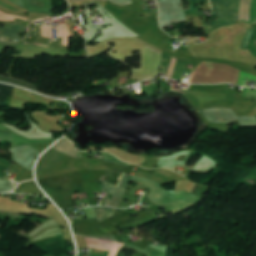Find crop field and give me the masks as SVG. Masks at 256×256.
I'll use <instances>...</instances> for the list:
<instances>
[{"label":"crop field","instance_id":"7","mask_svg":"<svg viewBox=\"0 0 256 256\" xmlns=\"http://www.w3.org/2000/svg\"><path fill=\"white\" fill-rule=\"evenodd\" d=\"M13 3L34 13H49L52 14V0H10ZM41 3V7H38Z\"/></svg>","mask_w":256,"mask_h":256},{"label":"crop field","instance_id":"3","mask_svg":"<svg viewBox=\"0 0 256 256\" xmlns=\"http://www.w3.org/2000/svg\"><path fill=\"white\" fill-rule=\"evenodd\" d=\"M203 115L209 122L234 123V120H238L240 127L256 126V117H236L232 109H204ZM222 119H227V121H222Z\"/></svg>","mask_w":256,"mask_h":256},{"label":"crop field","instance_id":"14","mask_svg":"<svg viewBox=\"0 0 256 256\" xmlns=\"http://www.w3.org/2000/svg\"><path fill=\"white\" fill-rule=\"evenodd\" d=\"M216 164L217 163H215L213 160L203 155L191 171L198 173H208L212 171Z\"/></svg>","mask_w":256,"mask_h":256},{"label":"crop field","instance_id":"10","mask_svg":"<svg viewBox=\"0 0 256 256\" xmlns=\"http://www.w3.org/2000/svg\"><path fill=\"white\" fill-rule=\"evenodd\" d=\"M88 247L97 248L101 250H111L109 256H116L118 250L124 246V243H117L116 241L100 240L96 238H85Z\"/></svg>","mask_w":256,"mask_h":256},{"label":"crop field","instance_id":"13","mask_svg":"<svg viewBox=\"0 0 256 256\" xmlns=\"http://www.w3.org/2000/svg\"><path fill=\"white\" fill-rule=\"evenodd\" d=\"M127 248L145 253L147 256H167L168 246H158V247H156V246L151 245L147 249L144 250L140 247L129 244L127 246Z\"/></svg>","mask_w":256,"mask_h":256},{"label":"crop field","instance_id":"21","mask_svg":"<svg viewBox=\"0 0 256 256\" xmlns=\"http://www.w3.org/2000/svg\"><path fill=\"white\" fill-rule=\"evenodd\" d=\"M103 155H104V159L105 161H109V162H113V163H118V164H122V165H126V166H129L131 164H127V163H124L120 160H118L117 158H115L114 156L108 154V153H105L103 152Z\"/></svg>","mask_w":256,"mask_h":256},{"label":"crop field","instance_id":"27","mask_svg":"<svg viewBox=\"0 0 256 256\" xmlns=\"http://www.w3.org/2000/svg\"><path fill=\"white\" fill-rule=\"evenodd\" d=\"M110 251H106L104 255L99 254V253H91L90 256H108Z\"/></svg>","mask_w":256,"mask_h":256},{"label":"crop field","instance_id":"20","mask_svg":"<svg viewBox=\"0 0 256 256\" xmlns=\"http://www.w3.org/2000/svg\"><path fill=\"white\" fill-rule=\"evenodd\" d=\"M190 3V9L184 10L186 14H194L197 13L199 9H194V3H199V7H201V2H207L208 0H188Z\"/></svg>","mask_w":256,"mask_h":256},{"label":"crop field","instance_id":"9","mask_svg":"<svg viewBox=\"0 0 256 256\" xmlns=\"http://www.w3.org/2000/svg\"><path fill=\"white\" fill-rule=\"evenodd\" d=\"M170 59H171V57L163 55V61H162L161 67L168 68ZM175 62H176V59L172 57L170 67H169V73L167 71L168 77H170V78H172V75H173ZM187 62L188 61H186V60L177 59L173 79H176V80L180 79Z\"/></svg>","mask_w":256,"mask_h":256},{"label":"crop field","instance_id":"17","mask_svg":"<svg viewBox=\"0 0 256 256\" xmlns=\"http://www.w3.org/2000/svg\"><path fill=\"white\" fill-rule=\"evenodd\" d=\"M17 185H18L17 183H14V182L10 183L0 178V193L10 192L13 189H15Z\"/></svg>","mask_w":256,"mask_h":256},{"label":"crop field","instance_id":"15","mask_svg":"<svg viewBox=\"0 0 256 256\" xmlns=\"http://www.w3.org/2000/svg\"><path fill=\"white\" fill-rule=\"evenodd\" d=\"M93 210H94V213L95 215H100V218H98V216H96L98 222L114 215L115 213V210L116 209H113V208H105V207H93ZM103 214V218H101V215Z\"/></svg>","mask_w":256,"mask_h":256},{"label":"crop field","instance_id":"25","mask_svg":"<svg viewBox=\"0 0 256 256\" xmlns=\"http://www.w3.org/2000/svg\"><path fill=\"white\" fill-rule=\"evenodd\" d=\"M252 30H253V28L249 29V31H248V33H247V35H246V37H245V39H244V41H243L242 49H245V48H246V45H247V43H248V39H249V36H250Z\"/></svg>","mask_w":256,"mask_h":256},{"label":"crop field","instance_id":"12","mask_svg":"<svg viewBox=\"0 0 256 256\" xmlns=\"http://www.w3.org/2000/svg\"><path fill=\"white\" fill-rule=\"evenodd\" d=\"M25 31V27L18 26L16 24L6 25V27L0 29V39L9 41L10 38L19 40V34Z\"/></svg>","mask_w":256,"mask_h":256},{"label":"crop field","instance_id":"22","mask_svg":"<svg viewBox=\"0 0 256 256\" xmlns=\"http://www.w3.org/2000/svg\"><path fill=\"white\" fill-rule=\"evenodd\" d=\"M18 44L0 40V54L5 46L16 48Z\"/></svg>","mask_w":256,"mask_h":256},{"label":"crop field","instance_id":"18","mask_svg":"<svg viewBox=\"0 0 256 256\" xmlns=\"http://www.w3.org/2000/svg\"><path fill=\"white\" fill-rule=\"evenodd\" d=\"M0 81L16 84V85L23 86V87H27V88L32 89V90L35 91V86L30 85V84L25 83V82H22L20 80H15V79H10V78L0 76Z\"/></svg>","mask_w":256,"mask_h":256},{"label":"crop field","instance_id":"16","mask_svg":"<svg viewBox=\"0 0 256 256\" xmlns=\"http://www.w3.org/2000/svg\"><path fill=\"white\" fill-rule=\"evenodd\" d=\"M13 88L12 86L0 84V104L5 105L6 98L12 95Z\"/></svg>","mask_w":256,"mask_h":256},{"label":"crop field","instance_id":"26","mask_svg":"<svg viewBox=\"0 0 256 256\" xmlns=\"http://www.w3.org/2000/svg\"><path fill=\"white\" fill-rule=\"evenodd\" d=\"M0 5L3 6V7L9 8V9L12 10V11H21V10H18V9H16V8H13V7H11V6H9V5H7V4L1 2V1H0Z\"/></svg>","mask_w":256,"mask_h":256},{"label":"crop field","instance_id":"24","mask_svg":"<svg viewBox=\"0 0 256 256\" xmlns=\"http://www.w3.org/2000/svg\"><path fill=\"white\" fill-rule=\"evenodd\" d=\"M111 2L118 4V5H127V4H131L132 1L131 0H110Z\"/></svg>","mask_w":256,"mask_h":256},{"label":"crop field","instance_id":"11","mask_svg":"<svg viewBox=\"0 0 256 256\" xmlns=\"http://www.w3.org/2000/svg\"><path fill=\"white\" fill-rule=\"evenodd\" d=\"M186 154H187V159L185 162L177 161V157H179L181 155H186ZM190 154H191V152H180V153L170 156V157L160 158L159 167H166V168H169L174 171V169L176 168L177 165H180V166L186 165V163L188 162V160L190 158Z\"/></svg>","mask_w":256,"mask_h":256},{"label":"crop field","instance_id":"2","mask_svg":"<svg viewBox=\"0 0 256 256\" xmlns=\"http://www.w3.org/2000/svg\"><path fill=\"white\" fill-rule=\"evenodd\" d=\"M214 16L218 18L215 23H204L206 34L216 28L237 23L239 0H210Z\"/></svg>","mask_w":256,"mask_h":256},{"label":"crop field","instance_id":"5","mask_svg":"<svg viewBox=\"0 0 256 256\" xmlns=\"http://www.w3.org/2000/svg\"><path fill=\"white\" fill-rule=\"evenodd\" d=\"M10 151L13 153V161L30 171L33 169L36 157L40 154L28 145L18 146L10 149Z\"/></svg>","mask_w":256,"mask_h":256},{"label":"crop field","instance_id":"28","mask_svg":"<svg viewBox=\"0 0 256 256\" xmlns=\"http://www.w3.org/2000/svg\"><path fill=\"white\" fill-rule=\"evenodd\" d=\"M69 2H80V1H83V0H68Z\"/></svg>","mask_w":256,"mask_h":256},{"label":"crop field","instance_id":"4","mask_svg":"<svg viewBox=\"0 0 256 256\" xmlns=\"http://www.w3.org/2000/svg\"><path fill=\"white\" fill-rule=\"evenodd\" d=\"M160 8V26L187 21L181 0H157Z\"/></svg>","mask_w":256,"mask_h":256},{"label":"crop field","instance_id":"6","mask_svg":"<svg viewBox=\"0 0 256 256\" xmlns=\"http://www.w3.org/2000/svg\"><path fill=\"white\" fill-rule=\"evenodd\" d=\"M131 178H132V175L123 173V175L119 179L120 182L117 187H115L107 182L103 183L102 189L114 195V197L107 204V206L118 207L117 205H118L119 201L123 198V196L125 194V190H126V185L131 180ZM117 198H120V200L116 201Z\"/></svg>","mask_w":256,"mask_h":256},{"label":"crop field","instance_id":"19","mask_svg":"<svg viewBox=\"0 0 256 256\" xmlns=\"http://www.w3.org/2000/svg\"><path fill=\"white\" fill-rule=\"evenodd\" d=\"M247 79L256 80V76H253L241 71L237 83L245 86Z\"/></svg>","mask_w":256,"mask_h":256},{"label":"crop field","instance_id":"1","mask_svg":"<svg viewBox=\"0 0 256 256\" xmlns=\"http://www.w3.org/2000/svg\"><path fill=\"white\" fill-rule=\"evenodd\" d=\"M131 181L139 182L150 188L148 198L157 203L159 206L168 207L179 211L190 207L198 199V197L184 191H166L160 184L139 177L133 176Z\"/></svg>","mask_w":256,"mask_h":256},{"label":"crop field","instance_id":"23","mask_svg":"<svg viewBox=\"0 0 256 256\" xmlns=\"http://www.w3.org/2000/svg\"><path fill=\"white\" fill-rule=\"evenodd\" d=\"M10 164H12V163L0 158V176L5 175L2 173V171L4 168L8 167ZM12 165H14V164H12Z\"/></svg>","mask_w":256,"mask_h":256},{"label":"crop field","instance_id":"8","mask_svg":"<svg viewBox=\"0 0 256 256\" xmlns=\"http://www.w3.org/2000/svg\"><path fill=\"white\" fill-rule=\"evenodd\" d=\"M0 129L6 130L8 132H12L9 129H7L6 127L2 126L1 124H0ZM6 131L0 130V138H4V139L11 141L14 134L8 133ZM55 140H57V139L49 138V139H41V140H30V139L24 138L15 133L14 138L12 140V142H13L12 147H15L18 145H23V144H42V143L53 142Z\"/></svg>","mask_w":256,"mask_h":256}]
</instances>
